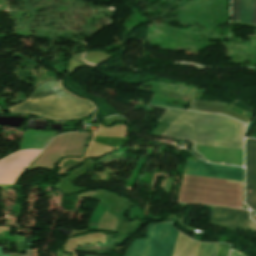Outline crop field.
Listing matches in <instances>:
<instances>
[{"instance_id": "22f410ed", "label": "crop field", "mask_w": 256, "mask_h": 256, "mask_svg": "<svg viewBox=\"0 0 256 256\" xmlns=\"http://www.w3.org/2000/svg\"><path fill=\"white\" fill-rule=\"evenodd\" d=\"M232 256H241V255H239V254H237L236 252H232Z\"/></svg>"}, {"instance_id": "d8731c3e", "label": "crop field", "mask_w": 256, "mask_h": 256, "mask_svg": "<svg viewBox=\"0 0 256 256\" xmlns=\"http://www.w3.org/2000/svg\"><path fill=\"white\" fill-rule=\"evenodd\" d=\"M226 106H227V104H224V103L193 100L189 110L228 114L230 116H233V117H236L238 119L248 122L249 117L242 116V115L236 114L234 112H231V111L225 109Z\"/></svg>"}, {"instance_id": "cbeb9de0", "label": "crop field", "mask_w": 256, "mask_h": 256, "mask_svg": "<svg viewBox=\"0 0 256 256\" xmlns=\"http://www.w3.org/2000/svg\"><path fill=\"white\" fill-rule=\"evenodd\" d=\"M18 256H24V254H18Z\"/></svg>"}, {"instance_id": "8a807250", "label": "crop field", "mask_w": 256, "mask_h": 256, "mask_svg": "<svg viewBox=\"0 0 256 256\" xmlns=\"http://www.w3.org/2000/svg\"><path fill=\"white\" fill-rule=\"evenodd\" d=\"M160 121L172 124L162 134L164 136L243 150L245 125L226 116L167 109Z\"/></svg>"}, {"instance_id": "e52e79f7", "label": "crop field", "mask_w": 256, "mask_h": 256, "mask_svg": "<svg viewBox=\"0 0 256 256\" xmlns=\"http://www.w3.org/2000/svg\"><path fill=\"white\" fill-rule=\"evenodd\" d=\"M239 3H240V0H232L231 21L236 22L237 20ZM252 5H253V0H241L237 22L249 24ZM250 24L256 25V0H254Z\"/></svg>"}, {"instance_id": "28ad6ade", "label": "crop field", "mask_w": 256, "mask_h": 256, "mask_svg": "<svg viewBox=\"0 0 256 256\" xmlns=\"http://www.w3.org/2000/svg\"><path fill=\"white\" fill-rule=\"evenodd\" d=\"M25 256H31V250H27Z\"/></svg>"}, {"instance_id": "d9b57169", "label": "crop field", "mask_w": 256, "mask_h": 256, "mask_svg": "<svg viewBox=\"0 0 256 256\" xmlns=\"http://www.w3.org/2000/svg\"><path fill=\"white\" fill-rule=\"evenodd\" d=\"M234 182H236V181H234ZM240 183H242V182H240Z\"/></svg>"}, {"instance_id": "f4fd0767", "label": "crop field", "mask_w": 256, "mask_h": 256, "mask_svg": "<svg viewBox=\"0 0 256 256\" xmlns=\"http://www.w3.org/2000/svg\"><path fill=\"white\" fill-rule=\"evenodd\" d=\"M210 223L222 228L247 229L248 212L213 206Z\"/></svg>"}, {"instance_id": "dd49c442", "label": "crop field", "mask_w": 256, "mask_h": 256, "mask_svg": "<svg viewBox=\"0 0 256 256\" xmlns=\"http://www.w3.org/2000/svg\"><path fill=\"white\" fill-rule=\"evenodd\" d=\"M246 192H253V198L245 203L256 210V140L247 139Z\"/></svg>"}, {"instance_id": "5142ce71", "label": "crop field", "mask_w": 256, "mask_h": 256, "mask_svg": "<svg viewBox=\"0 0 256 256\" xmlns=\"http://www.w3.org/2000/svg\"><path fill=\"white\" fill-rule=\"evenodd\" d=\"M85 256H90V255H85Z\"/></svg>"}, {"instance_id": "412701ff", "label": "crop field", "mask_w": 256, "mask_h": 256, "mask_svg": "<svg viewBox=\"0 0 256 256\" xmlns=\"http://www.w3.org/2000/svg\"><path fill=\"white\" fill-rule=\"evenodd\" d=\"M177 234L171 223L157 224L148 256H172Z\"/></svg>"}, {"instance_id": "3316defc", "label": "crop field", "mask_w": 256, "mask_h": 256, "mask_svg": "<svg viewBox=\"0 0 256 256\" xmlns=\"http://www.w3.org/2000/svg\"><path fill=\"white\" fill-rule=\"evenodd\" d=\"M219 244H201L198 256H216Z\"/></svg>"}, {"instance_id": "5a996713", "label": "crop field", "mask_w": 256, "mask_h": 256, "mask_svg": "<svg viewBox=\"0 0 256 256\" xmlns=\"http://www.w3.org/2000/svg\"><path fill=\"white\" fill-rule=\"evenodd\" d=\"M155 224H150L147 229V236L143 240L135 239L129 246L125 256H147L150 247Z\"/></svg>"}, {"instance_id": "34b2d1b8", "label": "crop field", "mask_w": 256, "mask_h": 256, "mask_svg": "<svg viewBox=\"0 0 256 256\" xmlns=\"http://www.w3.org/2000/svg\"><path fill=\"white\" fill-rule=\"evenodd\" d=\"M184 174L242 181V168L187 161Z\"/></svg>"}, {"instance_id": "d1516ede", "label": "crop field", "mask_w": 256, "mask_h": 256, "mask_svg": "<svg viewBox=\"0 0 256 256\" xmlns=\"http://www.w3.org/2000/svg\"><path fill=\"white\" fill-rule=\"evenodd\" d=\"M0 256H10V254L2 255V250H1V247H0Z\"/></svg>"}, {"instance_id": "ac0d7876", "label": "crop field", "mask_w": 256, "mask_h": 256, "mask_svg": "<svg viewBox=\"0 0 256 256\" xmlns=\"http://www.w3.org/2000/svg\"><path fill=\"white\" fill-rule=\"evenodd\" d=\"M93 110L92 103L65 94L59 82L53 80L40 85L25 102L9 112L32 113L51 120H72L88 116Z\"/></svg>"}]
</instances>
